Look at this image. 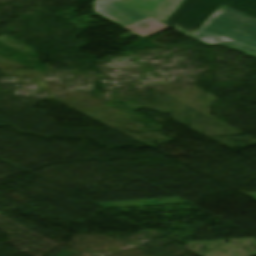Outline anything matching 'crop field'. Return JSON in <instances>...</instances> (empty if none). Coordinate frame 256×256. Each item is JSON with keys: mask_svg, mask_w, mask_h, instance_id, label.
Returning a JSON list of instances; mask_svg holds the SVG:
<instances>
[{"mask_svg": "<svg viewBox=\"0 0 256 256\" xmlns=\"http://www.w3.org/2000/svg\"><path fill=\"white\" fill-rule=\"evenodd\" d=\"M119 1H121V0H119Z\"/></svg>", "mask_w": 256, "mask_h": 256, "instance_id": "6", "label": "crop field"}, {"mask_svg": "<svg viewBox=\"0 0 256 256\" xmlns=\"http://www.w3.org/2000/svg\"><path fill=\"white\" fill-rule=\"evenodd\" d=\"M95 5L97 13L128 29L153 20L117 0H97Z\"/></svg>", "mask_w": 256, "mask_h": 256, "instance_id": "3", "label": "crop field"}, {"mask_svg": "<svg viewBox=\"0 0 256 256\" xmlns=\"http://www.w3.org/2000/svg\"><path fill=\"white\" fill-rule=\"evenodd\" d=\"M192 38L256 57V19L225 5Z\"/></svg>", "mask_w": 256, "mask_h": 256, "instance_id": "1", "label": "crop field"}, {"mask_svg": "<svg viewBox=\"0 0 256 256\" xmlns=\"http://www.w3.org/2000/svg\"><path fill=\"white\" fill-rule=\"evenodd\" d=\"M223 4L256 18V0H185L166 24L192 37Z\"/></svg>", "mask_w": 256, "mask_h": 256, "instance_id": "2", "label": "crop field"}, {"mask_svg": "<svg viewBox=\"0 0 256 256\" xmlns=\"http://www.w3.org/2000/svg\"><path fill=\"white\" fill-rule=\"evenodd\" d=\"M136 27V26H135ZM169 26L162 24L156 20H153L151 22H148L146 24H143L141 26H138L136 28L131 29L136 34L140 35L141 37L145 38L151 34H154L160 30H163Z\"/></svg>", "mask_w": 256, "mask_h": 256, "instance_id": "5", "label": "crop field"}, {"mask_svg": "<svg viewBox=\"0 0 256 256\" xmlns=\"http://www.w3.org/2000/svg\"><path fill=\"white\" fill-rule=\"evenodd\" d=\"M183 0H123L121 2L164 23Z\"/></svg>", "mask_w": 256, "mask_h": 256, "instance_id": "4", "label": "crop field"}]
</instances>
